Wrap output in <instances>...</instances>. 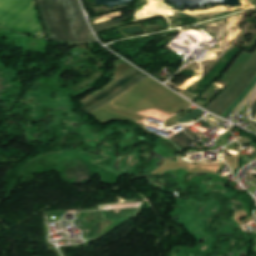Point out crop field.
<instances>
[{"label": "crop field", "mask_w": 256, "mask_h": 256, "mask_svg": "<svg viewBox=\"0 0 256 256\" xmlns=\"http://www.w3.org/2000/svg\"><path fill=\"white\" fill-rule=\"evenodd\" d=\"M149 76H147L146 74L141 75L140 77L134 79L133 81H131L130 83H128L127 85H125L124 87H122L120 90H118L117 92H115L114 94L110 95L109 97L105 98L104 100L100 101L99 103H97L96 105H94L92 108L88 109L87 113H92L93 111L101 108L103 105L109 103L110 101H112L114 98H116L118 95H120L121 93L129 90L130 88H132L133 86H135L137 83H139L140 81H142L143 79L147 78Z\"/></svg>", "instance_id": "ac0d7876"}, {"label": "crop field", "mask_w": 256, "mask_h": 256, "mask_svg": "<svg viewBox=\"0 0 256 256\" xmlns=\"http://www.w3.org/2000/svg\"><path fill=\"white\" fill-rule=\"evenodd\" d=\"M127 18L116 19L114 21H110V22L94 25L92 27H93L95 32L103 31V30H105L107 28L114 27V26L118 25L119 23H121L122 21L126 20Z\"/></svg>", "instance_id": "dd49c442"}, {"label": "crop field", "mask_w": 256, "mask_h": 256, "mask_svg": "<svg viewBox=\"0 0 256 256\" xmlns=\"http://www.w3.org/2000/svg\"><path fill=\"white\" fill-rule=\"evenodd\" d=\"M255 75L256 52L251 57L242 72L235 79V81L221 95H219L213 102H211L206 107V109L221 116L232 105V103L247 89L248 85L255 77Z\"/></svg>", "instance_id": "8a807250"}, {"label": "crop field", "mask_w": 256, "mask_h": 256, "mask_svg": "<svg viewBox=\"0 0 256 256\" xmlns=\"http://www.w3.org/2000/svg\"><path fill=\"white\" fill-rule=\"evenodd\" d=\"M256 91V85L252 89V91L249 93V95L243 100V102L235 109V111H239L245 104L246 102L250 99V97L253 95V93Z\"/></svg>", "instance_id": "d8731c3e"}, {"label": "crop field", "mask_w": 256, "mask_h": 256, "mask_svg": "<svg viewBox=\"0 0 256 256\" xmlns=\"http://www.w3.org/2000/svg\"><path fill=\"white\" fill-rule=\"evenodd\" d=\"M136 70H137V69H136ZM136 70H134V71H132L131 73H129L128 75L124 76L121 80H119L118 82L114 83L113 85H111L110 87H108L107 89H105L104 91L110 89L111 87H113L114 85H116L117 83H119L120 81H122L123 79H125L126 77H128L130 74H132L133 72H135ZM104 91L100 92L99 94H97L96 96H94V97H92L91 99L87 100L86 102L82 103V105L85 104V103H87V102H89V101L92 100L93 98L99 96V95L102 94Z\"/></svg>", "instance_id": "5a996713"}, {"label": "crop field", "mask_w": 256, "mask_h": 256, "mask_svg": "<svg viewBox=\"0 0 256 256\" xmlns=\"http://www.w3.org/2000/svg\"><path fill=\"white\" fill-rule=\"evenodd\" d=\"M251 115H252V119L255 117V115H256V102H255V104L252 106V108H251Z\"/></svg>", "instance_id": "28ad6ade"}, {"label": "crop field", "mask_w": 256, "mask_h": 256, "mask_svg": "<svg viewBox=\"0 0 256 256\" xmlns=\"http://www.w3.org/2000/svg\"><path fill=\"white\" fill-rule=\"evenodd\" d=\"M256 101V96H255V98L252 100V102H251V106L253 105V103ZM250 106V107H251Z\"/></svg>", "instance_id": "22f410ed"}, {"label": "crop field", "mask_w": 256, "mask_h": 256, "mask_svg": "<svg viewBox=\"0 0 256 256\" xmlns=\"http://www.w3.org/2000/svg\"><path fill=\"white\" fill-rule=\"evenodd\" d=\"M135 68L132 67L130 69H128L127 71H125L123 74H121L120 76H118L116 79H114L112 82H110L108 85H106L104 88L100 89L99 91L95 92L94 94L90 95L89 97L85 98L84 100L80 101L83 102L89 98H91L92 96H94L95 94L99 93L100 91H102L103 89L107 88L108 86H110L111 84H113L114 82H116L117 80L121 79L125 74L129 73L130 71L134 70Z\"/></svg>", "instance_id": "e52e79f7"}, {"label": "crop field", "mask_w": 256, "mask_h": 256, "mask_svg": "<svg viewBox=\"0 0 256 256\" xmlns=\"http://www.w3.org/2000/svg\"><path fill=\"white\" fill-rule=\"evenodd\" d=\"M252 121V120H251ZM252 123L254 124V126L256 127V122L252 121Z\"/></svg>", "instance_id": "cbeb9de0"}, {"label": "crop field", "mask_w": 256, "mask_h": 256, "mask_svg": "<svg viewBox=\"0 0 256 256\" xmlns=\"http://www.w3.org/2000/svg\"><path fill=\"white\" fill-rule=\"evenodd\" d=\"M205 118H207L209 121H211L213 124H215V125H217V124H219V123H217L216 121H214L213 119H211L210 117H205Z\"/></svg>", "instance_id": "d1516ede"}, {"label": "crop field", "mask_w": 256, "mask_h": 256, "mask_svg": "<svg viewBox=\"0 0 256 256\" xmlns=\"http://www.w3.org/2000/svg\"><path fill=\"white\" fill-rule=\"evenodd\" d=\"M141 72L140 70L137 71L136 73H134L133 75H131L130 77H128L127 79L123 80L122 82H120L119 84H117L115 87H113L112 89L108 90L107 92L103 93L102 95H100L99 97L95 98L94 100L90 101L89 103H87L86 105L82 106V108L85 110L87 108H89L90 106L94 105L95 103H97L98 101L102 100L103 98L107 97L108 95H110L111 93L115 92L116 90H118L119 88H121L122 86H124L126 83H128L129 81H131L132 79L136 78L138 75H140Z\"/></svg>", "instance_id": "34b2d1b8"}, {"label": "crop field", "mask_w": 256, "mask_h": 256, "mask_svg": "<svg viewBox=\"0 0 256 256\" xmlns=\"http://www.w3.org/2000/svg\"><path fill=\"white\" fill-rule=\"evenodd\" d=\"M256 84V77L253 82L250 84L248 89L234 102V104L222 115V117L226 118L240 103L241 101L248 95L253 86Z\"/></svg>", "instance_id": "412701ff"}, {"label": "crop field", "mask_w": 256, "mask_h": 256, "mask_svg": "<svg viewBox=\"0 0 256 256\" xmlns=\"http://www.w3.org/2000/svg\"><path fill=\"white\" fill-rule=\"evenodd\" d=\"M185 132L192 138H194L195 140L197 138H199L198 136H196L194 133H192L190 130H188L187 128L185 129Z\"/></svg>", "instance_id": "3316defc"}, {"label": "crop field", "mask_w": 256, "mask_h": 256, "mask_svg": "<svg viewBox=\"0 0 256 256\" xmlns=\"http://www.w3.org/2000/svg\"><path fill=\"white\" fill-rule=\"evenodd\" d=\"M173 141H175L177 144H179L181 147H185L188 144L194 142L192 139H190L183 131L175 135L171 138ZM171 140V141H172Z\"/></svg>", "instance_id": "f4fd0767"}]
</instances>
